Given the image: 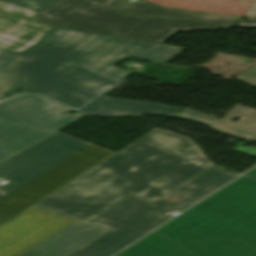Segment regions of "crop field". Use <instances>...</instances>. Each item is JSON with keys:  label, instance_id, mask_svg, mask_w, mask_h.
Wrapping results in <instances>:
<instances>
[{"label": "crop field", "instance_id": "1", "mask_svg": "<svg viewBox=\"0 0 256 256\" xmlns=\"http://www.w3.org/2000/svg\"><path fill=\"white\" fill-rule=\"evenodd\" d=\"M184 49L54 27L25 54L0 49V97L22 86L76 109L129 75L113 67L123 57L165 64Z\"/></svg>", "mask_w": 256, "mask_h": 256}, {"label": "crop field", "instance_id": "2", "mask_svg": "<svg viewBox=\"0 0 256 256\" xmlns=\"http://www.w3.org/2000/svg\"><path fill=\"white\" fill-rule=\"evenodd\" d=\"M210 166L194 141L155 128L32 208L86 222L131 194L154 202Z\"/></svg>", "mask_w": 256, "mask_h": 256}, {"label": "crop field", "instance_id": "3", "mask_svg": "<svg viewBox=\"0 0 256 256\" xmlns=\"http://www.w3.org/2000/svg\"><path fill=\"white\" fill-rule=\"evenodd\" d=\"M116 256H256V168Z\"/></svg>", "mask_w": 256, "mask_h": 256}, {"label": "crop field", "instance_id": "4", "mask_svg": "<svg viewBox=\"0 0 256 256\" xmlns=\"http://www.w3.org/2000/svg\"><path fill=\"white\" fill-rule=\"evenodd\" d=\"M241 17L165 8L147 0H57L30 19L66 29L164 44L180 31L231 29Z\"/></svg>", "mask_w": 256, "mask_h": 256}, {"label": "crop field", "instance_id": "5", "mask_svg": "<svg viewBox=\"0 0 256 256\" xmlns=\"http://www.w3.org/2000/svg\"><path fill=\"white\" fill-rule=\"evenodd\" d=\"M114 153L58 132L0 163V226Z\"/></svg>", "mask_w": 256, "mask_h": 256}, {"label": "crop field", "instance_id": "6", "mask_svg": "<svg viewBox=\"0 0 256 256\" xmlns=\"http://www.w3.org/2000/svg\"><path fill=\"white\" fill-rule=\"evenodd\" d=\"M236 176L212 166L154 203L131 195L88 221L110 230L70 256H111L167 221L163 211L188 207Z\"/></svg>", "mask_w": 256, "mask_h": 256}, {"label": "crop field", "instance_id": "7", "mask_svg": "<svg viewBox=\"0 0 256 256\" xmlns=\"http://www.w3.org/2000/svg\"><path fill=\"white\" fill-rule=\"evenodd\" d=\"M41 95L0 102V162L83 118Z\"/></svg>", "mask_w": 256, "mask_h": 256}, {"label": "crop field", "instance_id": "8", "mask_svg": "<svg viewBox=\"0 0 256 256\" xmlns=\"http://www.w3.org/2000/svg\"><path fill=\"white\" fill-rule=\"evenodd\" d=\"M58 215L29 210L0 227V256H19L75 220L65 222ZM21 241L7 246L15 239Z\"/></svg>", "mask_w": 256, "mask_h": 256}, {"label": "crop field", "instance_id": "9", "mask_svg": "<svg viewBox=\"0 0 256 256\" xmlns=\"http://www.w3.org/2000/svg\"><path fill=\"white\" fill-rule=\"evenodd\" d=\"M35 13L0 1V47L15 52L25 51L53 28L26 18Z\"/></svg>", "mask_w": 256, "mask_h": 256}, {"label": "crop field", "instance_id": "10", "mask_svg": "<svg viewBox=\"0 0 256 256\" xmlns=\"http://www.w3.org/2000/svg\"><path fill=\"white\" fill-rule=\"evenodd\" d=\"M107 229L76 221L21 256H69Z\"/></svg>", "mask_w": 256, "mask_h": 256}, {"label": "crop field", "instance_id": "11", "mask_svg": "<svg viewBox=\"0 0 256 256\" xmlns=\"http://www.w3.org/2000/svg\"><path fill=\"white\" fill-rule=\"evenodd\" d=\"M181 109L100 95L77 112L86 116H142L150 113L171 117Z\"/></svg>", "mask_w": 256, "mask_h": 256}, {"label": "crop field", "instance_id": "12", "mask_svg": "<svg viewBox=\"0 0 256 256\" xmlns=\"http://www.w3.org/2000/svg\"><path fill=\"white\" fill-rule=\"evenodd\" d=\"M235 116L241 119L237 123L230 122ZM174 117L202 123L209 128L224 134L256 140V110L239 104H237L221 120L208 117L189 108Z\"/></svg>", "mask_w": 256, "mask_h": 256}, {"label": "crop field", "instance_id": "13", "mask_svg": "<svg viewBox=\"0 0 256 256\" xmlns=\"http://www.w3.org/2000/svg\"><path fill=\"white\" fill-rule=\"evenodd\" d=\"M3 1L21 6L24 8L38 11L54 0H3Z\"/></svg>", "mask_w": 256, "mask_h": 256}, {"label": "crop field", "instance_id": "14", "mask_svg": "<svg viewBox=\"0 0 256 256\" xmlns=\"http://www.w3.org/2000/svg\"><path fill=\"white\" fill-rule=\"evenodd\" d=\"M235 78H238L240 80H243L245 82H248L256 86V65L246 70L245 72L241 73Z\"/></svg>", "mask_w": 256, "mask_h": 256}, {"label": "crop field", "instance_id": "15", "mask_svg": "<svg viewBox=\"0 0 256 256\" xmlns=\"http://www.w3.org/2000/svg\"><path fill=\"white\" fill-rule=\"evenodd\" d=\"M234 150L256 156V148L237 146V147L234 148Z\"/></svg>", "mask_w": 256, "mask_h": 256}, {"label": "crop field", "instance_id": "16", "mask_svg": "<svg viewBox=\"0 0 256 256\" xmlns=\"http://www.w3.org/2000/svg\"><path fill=\"white\" fill-rule=\"evenodd\" d=\"M245 15L247 16H243L242 18H246L248 20L256 19V5L253 8L249 9ZM241 19L239 21H241Z\"/></svg>", "mask_w": 256, "mask_h": 256}, {"label": "crop field", "instance_id": "17", "mask_svg": "<svg viewBox=\"0 0 256 256\" xmlns=\"http://www.w3.org/2000/svg\"><path fill=\"white\" fill-rule=\"evenodd\" d=\"M234 27H251L256 28V20L247 22H237Z\"/></svg>", "mask_w": 256, "mask_h": 256}, {"label": "crop field", "instance_id": "18", "mask_svg": "<svg viewBox=\"0 0 256 256\" xmlns=\"http://www.w3.org/2000/svg\"><path fill=\"white\" fill-rule=\"evenodd\" d=\"M58 219H61V220L65 221V220H67L68 218H64V217L59 216Z\"/></svg>", "mask_w": 256, "mask_h": 256}, {"label": "crop field", "instance_id": "19", "mask_svg": "<svg viewBox=\"0 0 256 256\" xmlns=\"http://www.w3.org/2000/svg\"><path fill=\"white\" fill-rule=\"evenodd\" d=\"M18 241H20V240H15L13 243H11L9 246H11V245H13V244H15L16 242H18Z\"/></svg>", "mask_w": 256, "mask_h": 256}, {"label": "crop field", "instance_id": "20", "mask_svg": "<svg viewBox=\"0 0 256 256\" xmlns=\"http://www.w3.org/2000/svg\"><path fill=\"white\" fill-rule=\"evenodd\" d=\"M28 210H29V209H28ZM26 211H27V210H26ZM26 211H25V212H26ZM23 213H24V212H23Z\"/></svg>", "mask_w": 256, "mask_h": 256}]
</instances>
